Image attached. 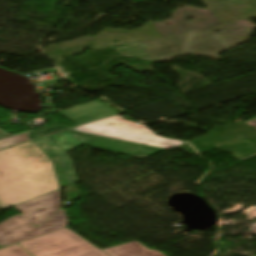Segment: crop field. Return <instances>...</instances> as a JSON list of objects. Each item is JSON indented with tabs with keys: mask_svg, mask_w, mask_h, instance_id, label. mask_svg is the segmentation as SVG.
Returning <instances> with one entry per match:
<instances>
[{
	"mask_svg": "<svg viewBox=\"0 0 256 256\" xmlns=\"http://www.w3.org/2000/svg\"><path fill=\"white\" fill-rule=\"evenodd\" d=\"M58 189L50 160L32 141L0 150V210Z\"/></svg>",
	"mask_w": 256,
	"mask_h": 256,
	"instance_id": "8a807250",
	"label": "crop field"
},
{
	"mask_svg": "<svg viewBox=\"0 0 256 256\" xmlns=\"http://www.w3.org/2000/svg\"><path fill=\"white\" fill-rule=\"evenodd\" d=\"M34 142L53 159L62 188L77 182L71 159L65 152L80 144L141 158L167 150L72 130L34 140Z\"/></svg>",
	"mask_w": 256,
	"mask_h": 256,
	"instance_id": "ac0d7876",
	"label": "crop field"
},
{
	"mask_svg": "<svg viewBox=\"0 0 256 256\" xmlns=\"http://www.w3.org/2000/svg\"><path fill=\"white\" fill-rule=\"evenodd\" d=\"M19 244L33 256H107L68 228L28 239Z\"/></svg>",
	"mask_w": 256,
	"mask_h": 256,
	"instance_id": "34b2d1b8",
	"label": "crop field"
},
{
	"mask_svg": "<svg viewBox=\"0 0 256 256\" xmlns=\"http://www.w3.org/2000/svg\"><path fill=\"white\" fill-rule=\"evenodd\" d=\"M135 122L127 121L121 116L111 117L105 120L87 124L72 130L87 132L91 134L122 139L151 146L171 149L185 142L174 138H163L147 129L144 124L140 126ZM186 144V143H185Z\"/></svg>",
	"mask_w": 256,
	"mask_h": 256,
	"instance_id": "412701ff",
	"label": "crop field"
},
{
	"mask_svg": "<svg viewBox=\"0 0 256 256\" xmlns=\"http://www.w3.org/2000/svg\"><path fill=\"white\" fill-rule=\"evenodd\" d=\"M68 224L67 212L64 209L58 211L38 227H35L20 214H17L0 224V245H9L32 238L63 228Z\"/></svg>",
	"mask_w": 256,
	"mask_h": 256,
	"instance_id": "f4fd0767",
	"label": "crop field"
},
{
	"mask_svg": "<svg viewBox=\"0 0 256 256\" xmlns=\"http://www.w3.org/2000/svg\"><path fill=\"white\" fill-rule=\"evenodd\" d=\"M35 226L61 209L60 190L31 199L13 207Z\"/></svg>",
	"mask_w": 256,
	"mask_h": 256,
	"instance_id": "dd49c442",
	"label": "crop field"
},
{
	"mask_svg": "<svg viewBox=\"0 0 256 256\" xmlns=\"http://www.w3.org/2000/svg\"><path fill=\"white\" fill-rule=\"evenodd\" d=\"M116 113L112 107L97 100L58 111V114L77 125Z\"/></svg>",
	"mask_w": 256,
	"mask_h": 256,
	"instance_id": "e52e79f7",
	"label": "crop field"
},
{
	"mask_svg": "<svg viewBox=\"0 0 256 256\" xmlns=\"http://www.w3.org/2000/svg\"><path fill=\"white\" fill-rule=\"evenodd\" d=\"M110 256H139L150 251L137 241L128 242L115 247L104 249Z\"/></svg>",
	"mask_w": 256,
	"mask_h": 256,
	"instance_id": "d8731c3e",
	"label": "crop field"
},
{
	"mask_svg": "<svg viewBox=\"0 0 256 256\" xmlns=\"http://www.w3.org/2000/svg\"><path fill=\"white\" fill-rule=\"evenodd\" d=\"M0 256H30L16 244L0 250Z\"/></svg>",
	"mask_w": 256,
	"mask_h": 256,
	"instance_id": "5a996713",
	"label": "crop field"
},
{
	"mask_svg": "<svg viewBox=\"0 0 256 256\" xmlns=\"http://www.w3.org/2000/svg\"><path fill=\"white\" fill-rule=\"evenodd\" d=\"M29 133H25V134H21V135H18V136H14V137H10V138H7V139L0 140V148L6 147V146H9V145H13V144H16V143H19V142H23V141H26V140H30V138L28 137Z\"/></svg>",
	"mask_w": 256,
	"mask_h": 256,
	"instance_id": "3316defc",
	"label": "crop field"
},
{
	"mask_svg": "<svg viewBox=\"0 0 256 256\" xmlns=\"http://www.w3.org/2000/svg\"><path fill=\"white\" fill-rule=\"evenodd\" d=\"M65 129L64 127L57 125V126H53V127H49V128H45V129H41V130H37V131H33L30 135L31 139L33 138H37L49 133H53L59 130Z\"/></svg>",
	"mask_w": 256,
	"mask_h": 256,
	"instance_id": "28ad6ade",
	"label": "crop field"
},
{
	"mask_svg": "<svg viewBox=\"0 0 256 256\" xmlns=\"http://www.w3.org/2000/svg\"><path fill=\"white\" fill-rule=\"evenodd\" d=\"M141 256H165V255L157 250H152V251H150L146 254H143Z\"/></svg>",
	"mask_w": 256,
	"mask_h": 256,
	"instance_id": "d1516ede",
	"label": "crop field"
},
{
	"mask_svg": "<svg viewBox=\"0 0 256 256\" xmlns=\"http://www.w3.org/2000/svg\"><path fill=\"white\" fill-rule=\"evenodd\" d=\"M2 248H5V247H0V249H2Z\"/></svg>",
	"mask_w": 256,
	"mask_h": 256,
	"instance_id": "22f410ed",
	"label": "crop field"
}]
</instances>
